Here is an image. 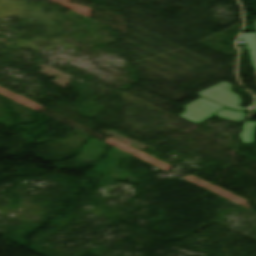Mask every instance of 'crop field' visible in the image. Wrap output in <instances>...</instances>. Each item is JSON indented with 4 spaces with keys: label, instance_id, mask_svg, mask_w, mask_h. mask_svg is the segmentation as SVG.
I'll return each mask as SVG.
<instances>
[{
    "label": "crop field",
    "instance_id": "2",
    "mask_svg": "<svg viewBox=\"0 0 256 256\" xmlns=\"http://www.w3.org/2000/svg\"><path fill=\"white\" fill-rule=\"evenodd\" d=\"M239 39L247 40L249 51L256 50V33L241 34Z\"/></svg>",
    "mask_w": 256,
    "mask_h": 256
},
{
    "label": "crop field",
    "instance_id": "1",
    "mask_svg": "<svg viewBox=\"0 0 256 256\" xmlns=\"http://www.w3.org/2000/svg\"><path fill=\"white\" fill-rule=\"evenodd\" d=\"M232 84L228 82H222L216 86L206 89L197 95L202 96L201 98L186 106V112H184L180 117L194 123L199 124L211 117H213L216 112L221 118L234 120V121H245L243 117V112L231 110L222 107H230L238 110H244V108L238 107L241 103L238 95L231 92ZM201 107V109H199Z\"/></svg>",
    "mask_w": 256,
    "mask_h": 256
},
{
    "label": "crop field",
    "instance_id": "4",
    "mask_svg": "<svg viewBox=\"0 0 256 256\" xmlns=\"http://www.w3.org/2000/svg\"><path fill=\"white\" fill-rule=\"evenodd\" d=\"M254 110H256V107H255V109Z\"/></svg>",
    "mask_w": 256,
    "mask_h": 256
},
{
    "label": "crop field",
    "instance_id": "3",
    "mask_svg": "<svg viewBox=\"0 0 256 256\" xmlns=\"http://www.w3.org/2000/svg\"><path fill=\"white\" fill-rule=\"evenodd\" d=\"M255 27H256V21H255Z\"/></svg>",
    "mask_w": 256,
    "mask_h": 256
}]
</instances>
